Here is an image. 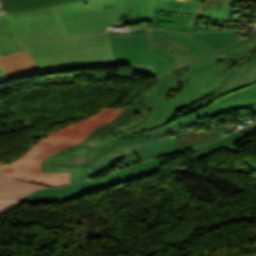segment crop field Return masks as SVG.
Listing matches in <instances>:
<instances>
[{
    "instance_id": "crop-field-16",
    "label": "crop field",
    "mask_w": 256,
    "mask_h": 256,
    "mask_svg": "<svg viewBox=\"0 0 256 256\" xmlns=\"http://www.w3.org/2000/svg\"><path fill=\"white\" fill-rule=\"evenodd\" d=\"M0 61L8 77L38 71L28 51L0 57Z\"/></svg>"
},
{
    "instance_id": "crop-field-25",
    "label": "crop field",
    "mask_w": 256,
    "mask_h": 256,
    "mask_svg": "<svg viewBox=\"0 0 256 256\" xmlns=\"http://www.w3.org/2000/svg\"><path fill=\"white\" fill-rule=\"evenodd\" d=\"M244 164H246L249 168L256 171V157L253 158H245Z\"/></svg>"
},
{
    "instance_id": "crop-field-8",
    "label": "crop field",
    "mask_w": 256,
    "mask_h": 256,
    "mask_svg": "<svg viewBox=\"0 0 256 256\" xmlns=\"http://www.w3.org/2000/svg\"><path fill=\"white\" fill-rule=\"evenodd\" d=\"M200 3L195 0H158L156 8L166 10H176L195 13L184 32H201L211 29L195 27L198 17L231 21L234 1L232 0H203Z\"/></svg>"
},
{
    "instance_id": "crop-field-2",
    "label": "crop field",
    "mask_w": 256,
    "mask_h": 256,
    "mask_svg": "<svg viewBox=\"0 0 256 256\" xmlns=\"http://www.w3.org/2000/svg\"><path fill=\"white\" fill-rule=\"evenodd\" d=\"M256 58V36L237 42L222 50L211 52L198 59L179 79L171 74L160 77L146 93L145 99L138 100L127 125L118 126L102 141L114 136L123 142L136 136L135 133L152 129L174 119V113L181 106L188 107L216 93L211 90L219 85L230 71L234 62L241 67ZM187 107V108H188Z\"/></svg>"
},
{
    "instance_id": "crop-field-22",
    "label": "crop field",
    "mask_w": 256,
    "mask_h": 256,
    "mask_svg": "<svg viewBox=\"0 0 256 256\" xmlns=\"http://www.w3.org/2000/svg\"><path fill=\"white\" fill-rule=\"evenodd\" d=\"M151 28H159V29H167V30H174V31L183 32L185 26L174 25V24H160V23H154L153 22Z\"/></svg>"
},
{
    "instance_id": "crop-field-5",
    "label": "crop field",
    "mask_w": 256,
    "mask_h": 256,
    "mask_svg": "<svg viewBox=\"0 0 256 256\" xmlns=\"http://www.w3.org/2000/svg\"><path fill=\"white\" fill-rule=\"evenodd\" d=\"M116 0H92L56 7L67 36L105 32L118 25Z\"/></svg>"
},
{
    "instance_id": "crop-field-1",
    "label": "crop field",
    "mask_w": 256,
    "mask_h": 256,
    "mask_svg": "<svg viewBox=\"0 0 256 256\" xmlns=\"http://www.w3.org/2000/svg\"><path fill=\"white\" fill-rule=\"evenodd\" d=\"M133 104L124 109L100 112L38 140L18 160L2 164L0 174L50 187L80 182L110 167L154 140L145 132L123 143L118 138L100 141L130 116Z\"/></svg>"
},
{
    "instance_id": "crop-field-4",
    "label": "crop field",
    "mask_w": 256,
    "mask_h": 256,
    "mask_svg": "<svg viewBox=\"0 0 256 256\" xmlns=\"http://www.w3.org/2000/svg\"><path fill=\"white\" fill-rule=\"evenodd\" d=\"M62 37L54 7L0 17V55L26 50L23 43Z\"/></svg>"
},
{
    "instance_id": "crop-field-23",
    "label": "crop field",
    "mask_w": 256,
    "mask_h": 256,
    "mask_svg": "<svg viewBox=\"0 0 256 256\" xmlns=\"http://www.w3.org/2000/svg\"><path fill=\"white\" fill-rule=\"evenodd\" d=\"M151 30H132L130 32L127 33H113V32H109V37L112 36H127V35H147L150 34Z\"/></svg>"
},
{
    "instance_id": "crop-field-14",
    "label": "crop field",
    "mask_w": 256,
    "mask_h": 256,
    "mask_svg": "<svg viewBox=\"0 0 256 256\" xmlns=\"http://www.w3.org/2000/svg\"><path fill=\"white\" fill-rule=\"evenodd\" d=\"M216 114L213 112V110L208 106L198 112H195L187 117L180 118L179 120L166 125L164 127H161L159 129L153 130L151 132H148L152 138L156 139L160 136L168 135L177 131H180L182 129H185L191 125H199L204 124L212 119L209 117L215 116Z\"/></svg>"
},
{
    "instance_id": "crop-field-10",
    "label": "crop field",
    "mask_w": 256,
    "mask_h": 256,
    "mask_svg": "<svg viewBox=\"0 0 256 256\" xmlns=\"http://www.w3.org/2000/svg\"><path fill=\"white\" fill-rule=\"evenodd\" d=\"M254 82H256V64L250 60L241 68L235 67V69L227 76L225 81L213 89L219 93L214 94L204 101L188 108L182 113V117L211 104L213 101L227 93L252 85Z\"/></svg>"
},
{
    "instance_id": "crop-field-12",
    "label": "crop field",
    "mask_w": 256,
    "mask_h": 256,
    "mask_svg": "<svg viewBox=\"0 0 256 256\" xmlns=\"http://www.w3.org/2000/svg\"><path fill=\"white\" fill-rule=\"evenodd\" d=\"M256 103V83L225 95L209 105L217 115Z\"/></svg>"
},
{
    "instance_id": "crop-field-21",
    "label": "crop field",
    "mask_w": 256,
    "mask_h": 256,
    "mask_svg": "<svg viewBox=\"0 0 256 256\" xmlns=\"http://www.w3.org/2000/svg\"><path fill=\"white\" fill-rule=\"evenodd\" d=\"M160 171H161V169L152 170V171L140 174V175L133 176V177L128 178L126 180L116 182L114 184H111V185H108V186H105V187H101V188H98V189L87 191L85 193H82V194L77 195V196H73L71 198H63V199H57V200H51V201H45V202H28V204L38 205V204H47V203H54V202H59V201H68V200L77 199V198H80V197H82V196H84V195H86L88 193L97 192V191H101V190H104V189H108V188H111V187H114V186H117V185H121V184L130 182V181H133V180H136V179H139V178H142V177H145V176H148V175L160 172Z\"/></svg>"
},
{
    "instance_id": "crop-field-13",
    "label": "crop field",
    "mask_w": 256,
    "mask_h": 256,
    "mask_svg": "<svg viewBox=\"0 0 256 256\" xmlns=\"http://www.w3.org/2000/svg\"><path fill=\"white\" fill-rule=\"evenodd\" d=\"M219 138H220L219 136L210 137V138L202 139L197 142H194V143H191L188 145H184V146H181L178 138L161 140V141H157V142L143 148L142 150H140L139 152H137L135 154L138 157V159L140 160V162H142L144 160H147V159H150L153 157L169 154V153L179 151V150L189 149V148H192V147L198 146L200 144L207 143L212 140L219 139Z\"/></svg>"
},
{
    "instance_id": "crop-field-27",
    "label": "crop field",
    "mask_w": 256,
    "mask_h": 256,
    "mask_svg": "<svg viewBox=\"0 0 256 256\" xmlns=\"http://www.w3.org/2000/svg\"><path fill=\"white\" fill-rule=\"evenodd\" d=\"M10 203H12V202H0V208L4 207Z\"/></svg>"
},
{
    "instance_id": "crop-field-20",
    "label": "crop field",
    "mask_w": 256,
    "mask_h": 256,
    "mask_svg": "<svg viewBox=\"0 0 256 256\" xmlns=\"http://www.w3.org/2000/svg\"><path fill=\"white\" fill-rule=\"evenodd\" d=\"M193 14L176 12V11H166L156 9L154 15V21L160 23H175L181 25H187Z\"/></svg>"
},
{
    "instance_id": "crop-field-7",
    "label": "crop field",
    "mask_w": 256,
    "mask_h": 256,
    "mask_svg": "<svg viewBox=\"0 0 256 256\" xmlns=\"http://www.w3.org/2000/svg\"><path fill=\"white\" fill-rule=\"evenodd\" d=\"M148 36L112 37L110 43L117 65H150L158 76L169 73L165 58L149 55Z\"/></svg>"
},
{
    "instance_id": "crop-field-28",
    "label": "crop field",
    "mask_w": 256,
    "mask_h": 256,
    "mask_svg": "<svg viewBox=\"0 0 256 256\" xmlns=\"http://www.w3.org/2000/svg\"><path fill=\"white\" fill-rule=\"evenodd\" d=\"M32 74H40V73H39V72H37V73H32ZM32 74H27V75H32ZM21 76H24V75L10 77L9 79L16 78V77H21Z\"/></svg>"
},
{
    "instance_id": "crop-field-6",
    "label": "crop field",
    "mask_w": 256,
    "mask_h": 256,
    "mask_svg": "<svg viewBox=\"0 0 256 256\" xmlns=\"http://www.w3.org/2000/svg\"><path fill=\"white\" fill-rule=\"evenodd\" d=\"M213 50L187 34L151 31L150 54L165 57L169 61L170 72L189 65L203 54Z\"/></svg>"
},
{
    "instance_id": "crop-field-29",
    "label": "crop field",
    "mask_w": 256,
    "mask_h": 256,
    "mask_svg": "<svg viewBox=\"0 0 256 256\" xmlns=\"http://www.w3.org/2000/svg\"><path fill=\"white\" fill-rule=\"evenodd\" d=\"M74 1H82V0H67L68 3L74 2Z\"/></svg>"
},
{
    "instance_id": "crop-field-9",
    "label": "crop field",
    "mask_w": 256,
    "mask_h": 256,
    "mask_svg": "<svg viewBox=\"0 0 256 256\" xmlns=\"http://www.w3.org/2000/svg\"><path fill=\"white\" fill-rule=\"evenodd\" d=\"M162 160L154 159L150 161L143 162L141 164L135 165L133 167L127 168L125 170L119 171L117 173L95 179L92 181L80 183L73 186L62 187L54 190H39L30 196L24 198L25 201H45L63 197H71L76 194H80L86 190L98 188L111 184L113 182L126 179L136 174H140L152 169L160 168L159 165Z\"/></svg>"
},
{
    "instance_id": "crop-field-15",
    "label": "crop field",
    "mask_w": 256,
    "mask_h": 256,
    "mask_svg": "<svg viewBox=\"0 0 256 256\" xmlns=\"http://www.w3.org/2000/svg\"><path fill=\"white\" fill-rule=\"evenodd\" d=\"M45 187L0 176V201L18 200L37 188Z\"/></svg>"
},
{
    "instance_id": "crop-field-11",
    "label": "crop field",
    "mask_w": 256,
    "mask_h": 256,
    "mask_svg": "<svg viewBox=\"0 0 256 256\" xmlns=\"http://www.w3.org/2000/svg\"><path fill=\"white\" fill-rule=\"evenodd\" d=\"M156 0H117V18L119 26L130 25L133 28H150Z\"/></svg>"
},
{
    "instance_id": "crop-field-18",
    "label": "crop field",
    "mask_w": 256,
    "mask_h": 256,
    "mask_svg": "<svg viewBox=\"0 0 256 256\" xmlns=\"http://www.w3.org/2000/svg\"><path fill=\"white\" fill-rule=\"evenodd\" d=\"M7 13L67 3L66 0H0Z\"/></svg>"
},
{
    "instance_id": "crop-field-24",
    "label": "crop field",
    "mask_w": 256,
    "mask_h": 256,
    "mask_svg": "<svg viewBox=\"0 0 256 256\" xmlns=\"http://www.w3.org/2000/svg\"><path fill=\"white\" fill-rule=\"evenodd\" d=\"M132 72H143L152 76H156L149 66H132Z\"/></svg>"
},
{
    "instance_id": "crop-field-26",
    "label": "crop field",
    "mask_w": 256,
    "mask_h": 256,
    "mask_svg": "<svg viewBox=\"0 0 256 256\" xmlns=\"http://www.w3.org/2000/svg\"><path fill=\"white\" fill-rule=\"evenodd\" d=\"M5 81H8V78H7L4 70H1L0 71V83L5 82Z\"/></svg>"
},
{
    "instance_id": "crop-field-19",
    "label": "crop field",
    "mask_w": 256,
    "mask_h": 256,
    "mask_svg": "<svg viewBox=\"0 0 256 256\" xmlns=\"http://www.w3.org/2000/svg\"><path fill=\"white\" fill-rule=\"evenodd\" d=\"M243 138H244L243 136H241L239 133L235 132V133L225 136L217 141L208 143L203 146L196 147L193 150H194L197 160H199V159L215 152L216 150H218L222 147H224V148L229 147V146L233 145L234 143L240 141Z\"/></svg>"
},
{
    "instance_id": "crop-field-30",
    "label": "crop field",
    "mask_w": 256,
    "mask_h": 256,
    "mask_svg": "<svg viewBox=\"0 0 256 256\" xmlns=\"http://www.w3.org/2000/svg\"><path fill=\"white\" fill-rule=\"evenodd\" d=\"M252 61H254L255 63H256V59L254 58V59H252Z\"/></svg>"
},
{
    "instance_id": "crop-field-3",
    "label": "crop field",
    "mask_w": 256,
    "mask_h": 256,
    "mask_svg": "<svg viewBox=\"0 0 256 256\" xmlns=\"http://www.w3.org/2000/svg\"><path fill=\"white\" fill-rule=\"evenodd\" d=\"M26 47L41 74L115 66L107 33L36 42Z\"/></svg>"
},
{
    "instance_id": "crop-field-31",
    "label": "crop field",
    "mask_w": 256,
    "mask_h": 256,
    "mask_svg": "<svg viewBox=\"0 0 256 256\" xmlns=\"http://www.w3.org/2000/svg\"><path fill=\"white\" fill-rule=\"evenodd\" d=\"M1 69H3V68H2L1 65H0V70H1Z\"/></svg>"
},
{
    "instance_id": "crop-field-32",
    "label": "crop field",
    "mask_w": 256,
    "mask_h": 256,
    "mask_svg": "<svg viewBox=\"0 0 256 256\" xmlns=\"http://www.w3.org/2000/svg\"><path fill=\"white\" fill-rule=\"evenodd\" d=\"M252 1H256V0H252Z\"/></svg>"
},
{
    "instance_id": "crop-field-17",
    "label": "crop field",
    "mask_w": 256,
    "mask_h": 256,
    "mask_svg": "<svg viewBox=\"0 0 256 256\" xmlns=\"http://www.w3.org/2000/svg\"><path fill=\"white\" fill-rule=\"evenodd\" d=\"M191 36L208 44L214 49L225 47L236 41L242 40L241 37L229 31L199 33V34H192Z\"/></svg>"
}]
</instances>
